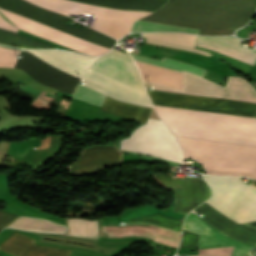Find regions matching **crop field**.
<instances>
[{"instance_id":"92a150f3","label":"crop field","mask_w":256,"mask_h":256,"mask_svg":"<svg viewBox=\"0 0 256 256\" xmlns=\"http://www.w3.org/2000/svg\"><path fill=\"white\" fill-rule=\"evenodd\" d=\"M134 31H184V32L195 33V34H198L199 32V30H196V29L168 26V25L141 22V21H137L134 23L131 32H134Z\"/></svg>"},{"instance_id":"28ad6ade","label":"crop field","mask_w":256,"mask_h":256,"mask_svg":"<svg viewBox=\"0 0 256 256\" xmlns=\"http://www.w3.org/2000/svg\"><path fill=\"white\" fill-rule=\"evenodd\" d=\"M49 64L75 76L81 77L85 69L96 57H88L68 51L27 50ZM19 50L0 46V67L14 68L15 56Z\"/></svg>"},{"instance_id":"4a817a6b","label":"crop field","mask_w":256,"mask_h":256,"mask_svg":"<svg viewBox=\"0 0 256 256\" xmlns=\"http://www.w3.org/2000/svg\"><path fill=\"white\" fill-rule=\"evenodd\" d=\"M10 227L29 230V231H39V232H57L65 233L67 232V227L43 220L31 217H20L18 218Z\"/></svg>"},{"instance_id":"8a807250","label":"crop field","mask_w":256,"mask_h":256,"mask_svg":"<svg viewBox=\"0 0 256 256\" xmlns=\"http://www.w3.org/2000/svg\"><path fill=\"white\" fill-rule=\"evenodd\" d=\"M205 180L213 190V197L208 200L214 206L236 221L256 220V181L247 185L240 177L207 176ZM209 202L196 207L200 217L216 230L245 243L256 246V230L239 224L215 208ZM197 215L191 212L183 229L200 234L198 248L235 246L231 256H245L254 246L231 239L213 229Z\"/></svg>"},{"instance_id":"cbeb9de0","label":"crop field","mask_w":256,"mask_h":256,"mask_svg":"<svg viewBox=\"0 0 256 256\" xmlns=\"http://www.w3.org/2000/svg\"><path fill=\"white\" fill-rule=\"evenodd\" d=\"M0 250L16 256H69L72 251L36 245L34 239L14 232Z\"/></svg>"},{"instance_id":"d8731c3e","label":"crop field","mask_w":256,"mask_h":256,"mask_svg":"<svg viewBox=\"0 0 256 256\" xmlns=\"http://www.w3.org/2000/svg\"><path fill=\"white\" fill-rule=\"evenodd\" d=\"M176 137L184 150L185 158L197 160L204 166L207 174H245L256 177V147Z\"/></svg>"},{"instance_id":"f4fd0767","label":"crop field","mask_w":256,"mask_h":256,"mask_svg":"<svg viewBox=\"0 0 256 256\" xmlns=\"http://www.w3.org/2000/svg\"><path fill=\"white\" fill-rule=\"evenodd\" d=\"M89 69L145 92L136 65L129 55L125 53L113 49L106 55L96 59ZM89 69H87L83 75L84 81L82 85L122 102L153 107L149 97L145 94L146 92H140L119 81ZM82 85H78L73 98L101 106L106 96Z\"/></svg>"},{"instance_id":"214f88e0","label":"crop field","mask_w":256,"mask_h":256,"mask_svg":"<svg viewBox=\"0 0 256 256\" xmlns=\"http://www.w3.org/2000/svg\"><path fill=\"white\" fill-rule=\"evenodd\" d=\"M68 225L70 228L68 235L97 238V221L69 219Z\"/></svg>"},{"instance_id":"d1516ede","label":"crop field","mask_w":256,"mask_h":256,"mask_svg":"<svg viewBox=\"0 0 256 256\" xmlns=\"http://www.w3.org/2000/svg\"><path fill=\"white\" fill-rule=\"evenodd\" d=\"M176 187L174 211L186 215L211 196V189L204 178L172 177Z\"/></svg>"},{"instance_id":"3316defc","label":"crop field","mask_w":256,"mask_h":256,"mask_svg":"<svg viewBox=\"0 0 256 256\" xmlns=\"http://www.w3.org/2000/svg\"><path fill=\"white\" fill-rule=\"evenodd\" d=\"M131 55L133 59L137 61H141V62H145V63H149V64H153V65H157V66H161V67H165V68H169V69H173L181 72L182 70H184L190 73L197 74L201 77H203V75L206 73V70L202 68H199L187 63H183L180 61L172 60L169 58H165V57H163L161 61H158V60H154V59H150V58H146V57H142L134 54H131ZM137 61L135 62L141 72L143 80L182 90V73L181 72H177V71L137 62Z\"/></svg>"},{"instance_id":"00972430","label":"crop field","mask_w":256,"mask_h":256,"mask_svg":"<svg viewBox=\"0 0 256 256\" xmlns=\"http://www.w3.org/2000/svg\"><path fill=\"white\" fill-rule=\"evenodd\" d=\"M19 216L0 211V228L8 226Z\"/></svg>"},{"instance_id":"733c2abd","label":"crop field","mask_w":256,"mask_h":256,"mask_svg":"<svg viewBox=\"0 0 256 256\" xmlns=\"http://www.w3.org/2000/svg\"><path fill=\"white\" fill-rule=\"evenodd\" d=\"M142 37H146V42L148 43L179 48L207 56L211 55L206 51L194 49L197 37L194 35L183 33H144Z\"/></svg>"},{"instance_id":"4177f3b9","label":"crop field","mask_w":256,"mask_h":256,"mask_svg":"<svg viewBox=\"0 0 256 256\" xmlns=\"http://www.w3.org/2000/svg\"><path fill=\"white\" fill-rule=\"evenodd\" d=\"M149 111H150V108H144L139 119L137 118L138 120L136 121L139 122L140 124H144L146 122Z\"/></svg>"},{"instance_id":"d9b57169","label":"crop field","mask_w":256,"mask_h":256,"mask_svg":"<svg viewBox=\"0 0 256 256\" xmlns=\"http://www.w3.org/2000/svg\"><path fill=\"white\" fill-rule=\"evenodd\" d=\"M240 41L235 37H199L197 46L218 51L255 65L256 51L240 46Z\"/></svg>"},{"instance_id":"22f410ed","label":"crop field","mask_w":256,"mask_h":256,"mask_svg":"<svg viewBox=\"0 0 256 256\" xmlns=\"http://www.w3.org/2000/svg\"><path fill=\"white\" fill-rule=\"evenodd\" d=\"M122 152L115 147H96L86 149L79 160L69 165L72 174H83L93 172L105 165H116L120 163Z\"/></svg>"},{"instance_id":"dd49c442","label":"crop field","mask_w":256,"mask_h":256,"mask_svg":"<svg viewBox=\"0 0 256 256\" xmlns=\"http://www.w3.org/2000/svg\"><path fill=\"white\" fill-rule=\"evenodd\" d=\"M154 106L175 135L256 146V118Z\"/></svg>"},{"instance_id":"e52e79f7","label":"crop field","mask_w":256,"mask_h":256,"mask_svg":"<svg viewBox=\"0 0 256 256\" xmlns=\"http://www.w3.org/2000/svg\"><path fill=\"white\" fill-rule=\"evenodd\" d=\"M35 5L58 12L66 16L75 14H90L95 16L92 28L106 33L116 39L129 33L133 22L158 10L168 1L165 0H76L86 3L103 5L119 9L135 10H118L103 6L86 4L71 0H27Z\"/></svg>"},{"instance_id":"34b2d1b8","label":"crop field","mask_w":256,"mask_h":256,"mask_svg":"<svg viewBox=\"0 0 256 256\" xmlns=\"http://www.w3.org/2000/svg\"><path fill=\"white\" fill-rule=\"evenodd\" d=\"M0 6L13 10L17 13L30 17L34 20L47 24L51 27L64 31L68 34L81 38L85 41L110 50L115 44V40L98 32L84 27L83 30L66 26L67 17L46 11L34 6L24 0H0ZM0 7L4 17L15 23L23 31L77 50L84 54L99 55L108 52L98 46L85 42L81 39L68 35L64 32L51 28L47 25L34 21L30 18L17 14L13 11ZM0 28L13 32H18L17 26L3 19L0 15Z\"/></svg>"},{"instance_id":"ac0d7876","label":"crop field","mask_w":256,"mask_h":256,"mask_svg":"<svg viewBox=\"0 0 256 256\" xmlns=\"http://www.w3.org/2000/svg\"><path fill=\"white\" fill-rule=\"evenodd\" d=\"M148 87H152L155 90L170 91L191 95H199L220 99H228L242 102L256 103V90L254 87L248 83L246 80L240 77H229L226 84V88L203 79L197 75L190 74L183 71V90L187 91H197V92H206V93H216V94H225V95H235V96H244V97H253V98H244V97H235V96H225V95H216V94H206V93H197V92H187L181 91L149 82H145ZM149 90L147 91L151 97L154 104L172 106L186 109H198L222 113H230L236 115L252 116L256 117V104L242 103L228 100H220L199 96H191L170 92H162Z\"/></svg>"},{"instance_id":"dafd665d","label":"crop field","mask_w":256,"mask_h":256,"mask_svg":"<svg viewBox=\"0 0 256 256\" xmlns=\"http://www.w3.org/2000/svg\"><path fill=\"white\" fill-rule=\"evenodd\" d=\"M234 247L199 250V255L230 256Z\"/></svg>"},{"instance_id":"5a996713","label":"crop field","mask_w":256,"mask_h":256,"mask_svg":"<svg viewBox=\"0 0 256 256\" xmlns=\"http://www.w3.org/2000/svg\"><path fill=\"white\" fill-rule=\"evenodd\" d=\"M120 149L146 153L183 163L182 150L174 135L158 120L148 119L130 138L122 140Z\"/></svg>"},{"instance_id":"5142ce71","label":"crop field","mask_w":256,"mask_h":256,"mask_svg":"<svg viewBox=\"0 0 256 256\" xmlns=\"http://www.w3.org/2000/svg\"><path fill=\"white\" fill-rule=\"evenodd\" d=\"M108 237L145 236L157 242L178 247L181 234L154 226L102 227Z\"/></svg>"},{"instance_id":"bc2a9ffb","label":"crop field","mask_w":256,"mask_h":256,"mask_svg":"<svg viewBox=\"0 0 256 256\" xmlns=\"http://www.w3.org/2000/svg\"><path fill=\"white\" fill-rule=\"evenodd\" d=\"M141 108L140 106L122 103L107 96L100 110L133 120L137 118Z\"/></svg>"},{"instance_id":"a9b5d70f","label":"crop field","mask_w":256,"mask_h":256,"mask_svg":"<svg viewBox=\"0 0 256 256\" xmlns=\"http://www.w3.org/2000/svg\"><path fill=\"white\" fill-rule=\"evenodd\" d=\"M156 177L167 187L173 188L170 175L156 174Z\"/></svg>"},{"instance_id":"412701ff","label":"crop field","mask_w":256,"mask_h":256,"mask_svg":"<svg viewBox=\"0 0 256 256\" xmlns=\"http://www.w3.org/2000/svg\"><path fill=\"white\" fill-rule=\"evenodd\" d=\"M171 4L252 15L256 0H170ZM167 4L141 21L200 29L201 35H232L250 16Z\"/></svg>"}]
</instances>
